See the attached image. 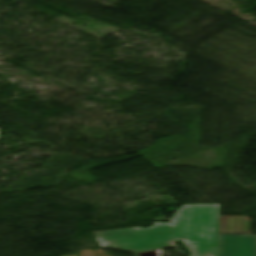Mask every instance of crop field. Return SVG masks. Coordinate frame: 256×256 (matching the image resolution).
<instances>
[{"label": "crop field", "mask_w": 256, "mask_h": 256, "mask_svg": "<svg viewBox=\"0 0 256 256\" xmlns=\"http://www.w3.org/2000/svg\"><path fill=\"white\" fill-rule=\"evenodd\" d=\"M220 205H183L171 223L155 222L147 229L129 228L95 232L102 246L128 252L172 247V241L181 239L193 253L192 256H216L218 223L198 222V207Z\"/></svg>", "instance_id": "crop-field-1"}, {"label": "crop field", "mask_w": 256, "mask_h": 256, "mask_svg": "<svg viewBox=\"0 0 256 256\" xmlns=\"http://www.w3.org/2000/svg\"><path fill=\"white\" fill-rule=\"evenodd\" d=\"M217 256H256V235H219Z\"/></svg>", "instance_id": "crop-field-2"}, {"label": "crop field", "mask_w": 256, "mask_h": 256, "mask_svg": "<svg viewBox=\"0 0 256 256\" xmlns=\"http://www.w3.org/2000/svg\"><path fill=\"white\" fill-rule=\"evenodd\" d=\"M220 216L219 233H249L250 219L244 217Z\"/></svg>", "instance_id": "crop-field-3"}, {"label": "crop field", "mask_w": 256, "mask_h": 256, "mask_svg": "<svg viewBox=\"0 0 256 256\" xmlns=\"http://www.w3.org/2000/svg\"><path fill=\"white\" fill-rule=\"evenodd\" d=\"M219 208H199V221L218 222Z\"/></svg>", "instance_id": "crop-field-4"}]
</instances>
